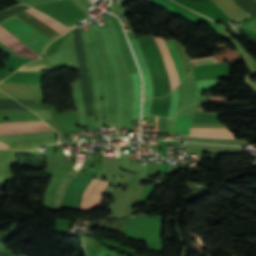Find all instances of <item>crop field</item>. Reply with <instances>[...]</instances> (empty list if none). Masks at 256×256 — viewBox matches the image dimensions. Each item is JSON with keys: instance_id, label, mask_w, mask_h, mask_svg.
Returning <instances> with one entry per match:
<instances>
[{"instance_id": "5a996713", "label": "crop field", "mask_w": 256, "mask_h": 256, "mask_svg": "<svg viewBox=\"0 0 256 256\" xmlns=\"http://www.w3.org/2000/svg\"><path fill=\"white\" fill-rule=\"evenodd\" d=\"M214 57V56H213ZM212 57H204V58H198V59H193L191 60V62L193 61H199V60H205V59H211ZM217 62L215 57L214 59H211V60H205V61H199V62H193L191 63L192 66H195V65H202V64H209V63H215Z\"/></svg>"}, {"instance_id": "34b2d1b8", "label": "crop field", "mask_w": 256, "mask_h": 256, "mask_svg": "<svg viewBox=\"0 0 256 256\" xmlns=\"http://www.w3.org/2000/svg\"><path fill=\"white\" fill-rule=\"evenodd\" d=\"M105 185L106 182L93 178L82 197L80 210L88 211L96 208L101 201L102 195L100 193Z\"/></svg>"}, {"instance_id": "8a807250", "label": "crop field", "mask_w": 256, "mask_h": 256, "mask_svg": "<svg viewBox=\"0 0 256 256\" xmlns=\"http://www.w3.org/2000/svg\"><path fill=\"white\" fill-rule=\"evenodd\" d=\"M0 25L39 55L53 41L16 15L0 22Z\"/></svg>"}, {"instance_id": "412701ff", "label": "crop field", "mask_w": 256, "mask_h": 256, "mask_svg": "<svg viewBox=\"0 0 256 256\" xmlns=\"http://www.w3.org/2000/svg\"><path fill=\"white\" fill-rule=\"evenodd\" d=\"M0 40L21 56L34 58V59H38L41 57L38 54L31 51L30 49H28L22 43H20L16 38H14L9 32H7L1 26H0Z\"/></svg>"}, {"instance_id": "d8731c3e", "label": "crop field", "mask_w": 256, "mask_h": 256, "mask_svg": "<svg viewBox=\"0 0 256 256\" xmlns=\"http://www.w3.org/2000/svg\"><path fill=\"white\" fill-rule=\"evenodd\" d=\"M191 118L192 117L186 115H177L174 134L188 135L190 131Z\"/></svg>"}, {"instance_id": "3316defc", "label": "crop field", "mask_w": 256, "mask_h": 256, "mask_svg": "<svg viewBox=\"0 0 256 256\" xmlns=\"http://www.w3.org/2000/svg\"><path fill=\"white\" fill-rule=\"evenodd\" d=\"M244 27L256 33V19L245 22Z\"/></svg>"}, {"instance_id": "ac0d7876", "label": "crop field", "mask_w": 256, "mask_h": 256, "mask_svg": "<svg viewBox=\"0 0 256 256\" xmlns=\"http://www.w3.org/2000/svg\"><path fill=\"white\" fill-rule=\"evenodd\" d=\"M46 125L43 121L2 123L0 124V135L51 131L52 129Z\"/></svg>"}, {"instance_id": "28ad6ade", "label": "crop field", "mask_w": 256, "mask_h": 256, "mask_svg": "<svg viewBox=\"0 0 256 256\" xmlns=\"http://www.w3.org/2000/svg\"><path fill=\"white\" fill-rule=\"evenodd\" d=\"M0 148H8V146L5 145L4 143L0 142Z\"/></svg>"}, {"instance_id": "dd49c442", "label": "crop field", "mask_w": 256, "mask_h": 256, "mask_svg": "<svg viewBox=\"0 0 256 256\" xmlns=\"http://www.w3.org/2000/svg\"><path fill=\"white\" fill-rule=\"evenodd\" d=\"M17 15L53 40L61 36L25 11Z\"/></svg>"}, {"instance_id": "e52e79f7", "label": "crop field", "mask_w": 256, "mask_h": 256, "mask_svg": "<svg viewBox=\"0 0 256 256\" xmlns=\"http://www.w3.org/2000/svg\"><path fill=\"white\" fill-rule=\"evenodd\" d=\"M167 48L169 50L171 59L175 65L176 71L179 76V82L185 77L183 66L177 51V48L175 46L174 40L165 41Z\"/></svg>"}, {"instance_id": "f4fd0767", "label": "crop field", "mask_w": 256, "mask_h": 256, "mask_svg": "<svg viewBox=\"0 0 256 256\" xmlns=\"http://www.w3.org/2000/svg\"><path fill=\"white\" fill-rule=\"evenodd\" d=\"M189 136L234 139V136L228 129H218V130L191 129Z\"/></svg>"}, {"instance_id": "d1516ede", "label": "crop field", "mask_w": 256, "mask_h": 256, "mask_svg": "<svg viewBox=\"0 0 256 256\" xmlns=\"http://www.w3.org/2000/svg\"><path fill=\"white\" fill-rule=\"evenodd\" d=\"M155 125H158V117L155 116Z\"/></svg>"}]
</instances>
